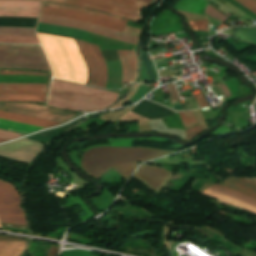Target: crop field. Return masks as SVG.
<instances>
[{"mask_svg":"<svg viewBox=\"0 0 256 256\" xmlns=\"http://www.w3.org/2000/svg\"><path fill=\"white\" fill-rule=\"evenodd\" d=\"M28 241L8 239L0 235V256H20Z\"/></svg>","mask_w":256,"mask_h":256,"instance_id":"16","label":"crop field"},{"mask_svg":"<svg viewBox=\"0 0 256 256\" xmlns=\"http://www.w3.org/2000/svg\"><path fill=\"white\" fill-rule=\"evenodd\" d=\"M212 187H215V188H218V189H221V190L227 191V192L232 193V194H234V195H236V196H239V197H241V198H244V199H247V200H249V201H252V202H255V203H256V200H253V199L248 198V197H246V196H243V195H240V194L234 193V192H232V191L226 190V189L221 188V187H218V186H216V185H213Z\"/></svg>","mask_w":256,"mask_h":256,"instance_id":"37","label":"crop field"},{"mask_svg":"<svg viewBox=\"0 0 256 256\" xmlns=\"http://www.w3.org/2000/svg\"><path fill=\"white\" fill-rule=\"evenodd\" d=\"M39 22L41 23H47V24H53V25H59V26H65V27H71L76 29H82L86 31H90L96 34H100L103 36H107L110 38H114L120 41H124L130 44H135L137 37L116 32L113 30H109L106 28L98 27L95 25L74 21V20H68V19H62V18H55V17H49V16H43L40 15Z\"/></svg>","mask_w":256,"mask_h":256,"instance_id":"9","label":"crop field"},{"mask_svg":"<svg viewBox=\"0 0 256 256\" xmlns=\"http://www.w3.org/2000/svg\"><path fill=\"white\" fill-rule=\"evenodd\" d=\"M40 14L74 19V20H80V21L91 23V24L99 25L102 27H106L109 29L117 30L120 32H122L123 28L125 27L124 24H120V23L113 22L110 20L102 19L99 17H95V16L83 14V13L51 9V8H45V7H42Z\"/></svg>","mask_w":256,"mask_h":256,"instance_id":"11","label":"crop field"},{"mask_svg":"<svg viewBox=\"0 0 256 256\" xmlns=\"http://www.w3.org/2000/svg\"><path fill=\"white\" fill-rule=\"evenodd\" d=\"M179 114H180L184 129L190 128V127L198 124L192 111L182 112Z\"/></svg>","mask_w":256,"mask_h":256,"instance_id":"27","label":"crop field"},{"mask_svg":"<svg viewBox=\"0 0 256 256\" xmlns=\"http://www.w3.org/2000/svg\"><path fill=\"white\" fill-rule=\"evenodd\" d=\"M167 152L145 148L99 147L87 151L82 167L93 178L99 180L103 172L113 167L126 180L138 165L137 162L166 155Z\"/></svg>","mask_w":256,"mask_h":256,"instance_id":"1","label":"crop field"},{"mask_svg":"<svg viewBox=\"0 0 256 256\" xmlns=\"http://www.w3.org/2000/svg\"><path fill=\"white\" fill-rule=\"evenodd\" d=\"M46 95L0 94V101L44 102Z\"/></svg>","mask_w":256,"mask_h":256,"instance_id":"22","label":"crop field"},{"mask_svg":"<svg viewBox=\"0 0 256 256\" xmlns=\"http://www.w3.org/2000/svg\"><path fill=\"white\" fill-rule=\"evenodd\" d=\"M34 30L28 28L0 27V34L35 35Z\"/></svg>","mask_w":256,"mask_h":256,"instance_id":"26","label":"crop field"},{"mask_svg":"<svg viewBox=\"0 0 256 256\" xmlns=\"http://www.w3.org/2000/svg\"><path fill=\"white\" fill-rule=\"evenodd\" d=\"M208 189H211V190H214V191H216V192H219V193H222V194H225V195L231 196V197H233V198H236V199L242 200V201H244V202H247V203H249V204H252V205L256 206V204H254V203H252V202L246 201V200H244V199H241V198H239V197H236V196H234V195H232V194H229V193H227V192H224V191H221V190H218V189L212 188V187H209Z\"/></svg>","mask_w":256,"mask_h":256,"instance_id":"36","label":"crop field"},{"mask_svg":"<svg viewBox=\"0 0 256 256\" xmlns=\"http://www.w3.org/2000/svg\"><path fill=\"white\" fill-rule=\"evenodd\" d=\"M196 101L198 102L199 106L200 107H203V106H207L208 103L205 101L202 93H199V94H196V97H195Z\"/></svg>","mask_w":256,"mask_h":256,"instance_id":"35","label":"crop field"},{"mask_svg":"<svg viewBox=\"0 0 256 256\" xmlns=\"http://www.w3.org/2000/svg\"><path fill=\"white\" fill-rule=\"evenodd\" d=\"M1 228V227H0Z\"/></svg>","mask_w":256,"mask_h":256,"instance_id":"41","label":"crop field"},{"mask_svg":"<svg viewBox=\"0 0 256 256\" xmlns=\"http://www.w3.org/2000/svg\"><path fill=\"white\" fill-rule=\"evenodd\" d=\"M41 2L0 0V16L37 18Z\"/></svg>","mask_w":256,"mask_h":256,"instance_id":"12","label":"crop field"},{"mask_svg":"<svg viewBox=\"0 0 256 256\" xmlns=\"http://www.w3.org/2000/svg\"><path fill=\"white\" fill-rule=\"evenodd\" d=\"M202 131H204V128L201 125H199V124L196 125L193 128H190V129L186 130L185 131L186 140H191L192 138L197 136Z\"/></svg>","mask_w":256,"mask_h":256,"instance_id":"29","label":"crop field"},{"mask_svg":"<svg viewBox=\"0 0 256 256\" xmlns=\"http://www.w3.org/2000/svg\"><path fill=\"white\" fill-rule=\"evenodd\" d=\"M36 31L50 33V34H56V35H62V36H68V37H73V38H77V39H83L84 35L86 34V31H82V30H76V29L41 24V23L38 24Z\"/></svg>","mask_w":256,"mask_h":256,"instance_id":"18","label":"crop field"},{"mask_svg":"<svg viewBox=\"0 0 256 256\" xmlns=\"http://www.w3.org/2000/svg\"><path fill=\"white\" fill-rule=\"evenodd\" d=\"M42 127L7 121L0 119V129L14 131L18 133L27 134L32 131H36Z\"/></svg>","mask_w":256,"mask_h":256,"instance_id":"21","label":"crop field"},{"mask_svg":"<svg viewBox=\"0 0 256 256\" xmlns=\"http://www.w3.org/2000/svg\"><path fill=\"white\" fill-rule=\"evenodd\" d=\"M45 84L0 83V93L46 94Z\"/></svg>","mask_w":256,"mask_h":256,"instance_id":"15","label":"crop field"},{"mask_svg":"<svg viewBox=\"0 0 256 256\" xmlns=\"http://www.w3.org/2000/svg\"><path fill=\"white\" fill-rule=\"evenodd\" d=\"M0 111L64 123L76 114L33 104H0Z\"/></svg>","mask_w":256,"mask_h":256,"instance_id":"7","label":"crop field"},{"mask_svg":"<svg viewBox=\"0 0 256 256\" xmlns=\"http://www.w3.org/2000/svg\"><path fill=\"white\" fill-rule=\"evenodd\" d=\"M191 29L208 31L209 23L207 20L187 21ZM187 23V24H188Z\"/></svg>","mask_w":256,"mask_h":256,"instance_id":"28","label":"crop field"},{"mask_svg":"<svg viewBox=\"0 0 256 256\" xmlns=\"http://www.w3.org/2000/svg\"><path fill=\"white\" fill-rule=\"evenodd\" d=\"M216 185L256 199V184L245 179H236L232 176L223 183Z\"/></svg>","mask_w":256,"mask_h":256,"instance_id":"14","label":"crop field"},{"mask_svg":"<svg viewBox=\"0 0 256 256\" xmlns=\"http://www.w3.org/2000/svg\"><path fill=\"white\" fill-rule=\"evenodd\" d=\"M0 68L50 71L40 47L0 46Z\"/></svg>","mask_w":256,"mask_h":256,"instance_id":"5","label":"crop field"},{"mask_svg":"<svg viewBox=\"0 0 256 256\" xmlns=\"http://www.w3.org/2000/svg\"><path fill=\"white\" fill-rule=\"evenodd\" d=\"M256 14V0H236Z\"/></svg>","mask_w":256,"mask_h":256,"instance_id":"32","label":"crop field"},{"mask_svg":"<svg viewBox=\"0 0 256 256\" xmlns=\"http://www.w3.org/2000/svg\"><path fill=\"white\" fill-rule=\"evenodd\" d=\"M86 7L139 22V11L150 4L137 0H34Z\"/></svg>","mask_w":256,"mask_h":256,"instance_id":"4","label":"crop field"},{"mask_svg":"<svg viewBox=\"0 0 256 256\" xmlns=\"http://www.w3.org/2000/svg\"><path fill=\"white\" fill-rule=\"evenodd\" d=\"M22 135L23 134L0 130V138L7 139V140H11Z\"/></svg>","mask_w":256,"mask_h":256,"instance_id":"33","label":"crop field"},{"mask_svg":"<svg viewBox=\"0 0 256 256\" xmlns=\"http://www.w3.org/2000/svg\"><path fill=\"white\" fill-rule=\"evenodd\" d=\"M167 86L170 91L171 101L177 102L178 95H177L176 89L174 87V84L173 83L168 84Z\"/></svg>","mask_w":256,"mask_h":256,"instance_id":"34","label":"crop field"},{"mask_svg":"<svg viewBox=\"0 0 256 256\" xmlns=\"http://www.w3.org/2000/svg\"><path fill=\"white\" fill-rule=\"evenodd\" d=\"M121 65H122V73H123V82L132 80L135 75L136 70V58L132 51H124V50H117Z\"/></svg>","mask_w":256,"mask_h":256,"instance_id":"17","label":"crop field"},{"mask_svg":"<svg viewBox=\"0 0 256 256\" xmlns=\"http://www.w3.org/2000/svg\"><path fill=\"white\" fill-rule=\"evenodd\" d=\"M118 95L52 80L47 105L71 111H98L117 101Z\"/></svg>","mask_w":256,"mask_h":256,"instance_id":"3","label":"crop field"},{"mask_svg":"<svg viewBox=\"0 0 256 256\" xmlns=\"http://www.w3.org/2000/svg\"><path fill=\"white\" fill-rule=\"evenodd\" d=\"M170 175L171 173L161 169L143 165L137 170L133 177L142 181L150 189L157 192Z\"/></svg>","mask_w":256,"mask_h":256,"instance_id":"13","label":"crop field"},{"mask_svg":"<svg viewBox=\"0 0 256 256\" xmlns=\"http://www.w3.org/2000/svg\"><path fill=\"white\" fill-rule=\"evenodd\" d=\"M203 193H206V194H209V195H212V196H215V197H218L224 201H227V202H230L232 204H235V205H238L240 207H243L245 209H248V210H251L253 212H256V208L255 207H252L242 201H239V200H236V199H233L231 197H228V196H225V195H222V194H219V193H216L214 191H211V190H208L206 189L205 191H203Z\"/></svg>","mask_w":256,"mask_h":256,"instance_id":"25","label":"crop field"},{"mask_svg":"<svg viewBox=\"0 0 256 256\" xmlns=\"http://www.w3.org/2000/svg\"><path fill=\"white\" fill-rule=\"evenodd\" d=\"M0 43L39 44L36 36L0 35Z\"/></svg>","mask_w":256,"mask_h":256,"instance_id":"23","label":"crop field"},{"mask_svg":"<svg viewBox=\"0 0 256 256\" xmlns=\"http://www.w3.org/2000/svg\"><path fill=\"white\" fill-rule=\"evenodd\" d=\"M2 141H6V140L0 139V142H2Z\"/></svg>","mask_w":256,"mask_h":256,"instance_id":"40","label":"crop field"},{"mask_svg":"<svg viewBox=\"0 0 256 256\" xmlns=\"http://www.w3.org/2000/svg\"><path fill=\"white\" fill-rule=\"evenodd\" d=\"M140 1H144V2H147V3H151L153 2V0H140Z\"/></svg>","mask_w":256,"mask_h":256,"instance_id":"39","label":"crop field"},{"mask_svg":"<svg viewBox=\"0 0 256 256\" xmlns=\"http://www.w3.org/2000/svg\"><path fill=\"white\" fill-rule=\"evenodd\" d=\"M0 75H44L36 72L28 71H0Z\"/></svg>","mask_w":256,"mask_h":256,"instance_id":"31","label":"crop field"},{"mask_svg":"<svg viewBox=\"0 0 256 256\" xmlns=\"http://www.w3.org/2000/svg\"><path fill=\"white\" fill-rule=\"evenodd\" d=\"M78 43L89 68L90 79L88 85L105 88L106 66L98 47L81 41H78Z\"/></svg>","mask_w":256,"mask_h":256,"instance_id":"8","label":"crop field"},{"mask_svg":"<svg viewBox=\"0 0 256 256\" xmlns=\"http://www.w3.org/2000/svg\"><path fill=\"white\" fill-rule=\"evenodd\" d=\"M147 85L140 84L138 91L134 94L129 102L132 104L142 98L146 92Z\"/></svg>","mask_w":256,"mask_h":256,"instance_id":"30","label":"crop field"},{"mask_svg":"<svg viewBox=\"0 0 256 256\" xmlns=\"http://www.w3.org/2000/svg\"><path fill=\"white\" fill-rule=\"evenodd\" d=\"M53 69V78L87 83V68L72 39L36 33Z\"/></svg>","mask_w":256,"mask_h":256,"instance_id":"2","label":"crop field"},{"mask_svg":"<svg viewBox=\"0 0 256 256\" xmlns=\"http://www.w3.org/2000/svg\"><path fill=\"white\" fill-rule=\"evenodd\" d=\"M140 76H141V82L148 81L146 71H145V68H144L142 62H141V74H140Z\"/></svg>","mask_w":256,"mask_h":256,"instance_id":"38","label":"crop field"},{"mask_svg":"<svg viewBox=\"0 0 256 256\" xmlns=\"http://www.w3.org/2000/svg\"><path fill=\"white\" fill-rule=\"evenodd\" d=\"M0 118L17 121V122H22V123H27V124H32V125H37V126H42V127L59 124V123L39 120V119H35V118H30V117H25V116H20V115L5 113V112H0Z\"/></svg>","mask_w":256,"mask_h":256,"instance_id":"20","label":"crop field"},{"mask_svg":"<svg viewBox=\"0 0 256 256\" xmlns=\"http://www.w3.org/2000/svg\"><path fill=\"white\" fill-rule=\"evenodd\" d=\"M84 119H86V118L83 117V118L78 119V120H76L73 123H69V124H67V125H65L63 127L51 129V130H48V131H44V132H41V133H38V134H35V135H32V136H29V137H27L25 139L37 141V142L44 143V144L48 145L52 141L53 138L58 136L66 128H68L69 126H71V125H73V124H75L77 122H80V121H82Z\"/></svg>","mask_w":256,"mask_h":256,"instance_id":"19","label":"crop field"},{"mask_svg":"<svg viewBox=\"0 0 256 256\" xmlns=\"http://www.w3.org/2000/svg\"><path fill=\"white\" fill-rule=\"evenodd\" d=\"M42 150V144L21 139L0 146V155L30 163Z\"/></svg>","mask_w":256,"mask_h":256,"instance_id":"10","label":"crop field"},{"mask_svg":"<svg viewBox=\"0 0 256 256\" xmlns=\"http://www.w3.org/2000/svg\"><path fill=\"white\" fill-rule=\"evenodd\" d=\"M19 194L12 184L0 180V221L26 225Z\"/></svg>","mask_w":256,"mask_h":256,"instance_id":"6","label":"crop field"},{"mask_svg":"<svg viewBox=\"0 0 256 256\" xmlns=\"http://www.w3.org/2000/svg\"><path fill=\"white\" fill-rule=\"evenodd\" d=\"M42 6L51 7V8H58V9H64V10L77 11V12H83V13H87V14L103 17V18H106V19L114 20V21H117V22L126 23V20H122V19L115 18V17L109 16V15H105V14H102V13H98V12H94V11H89V10H85V9L72 8V7L59 6V5H52V4H46V3H43Z\"/></svg>","mask_w":256,"mask_h":256,"instance_id":"24","label":"crop field"}]
</instances>
